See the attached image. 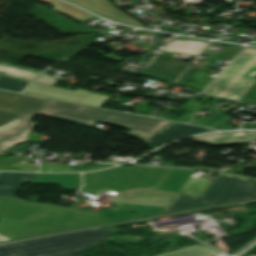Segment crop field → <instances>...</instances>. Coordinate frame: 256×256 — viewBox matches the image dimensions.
Segmentation results:
<instances>
[{
	"instance_id": "750c4746",
	"label": "crop field",
	"mask_w": 256,
	"mask_h": 256,
	"mask_svg": "<svg viewBox=\"0 0 256 256\" xmlns=\"http://www.w3.org/2000/svg\"><path fill=\"white\" fill-rule=\"evenodd\" d=\"M251 75H254V76H256V72H254L253 74H251Z\"/></svg>"
},
{
	"instance_id": "5a996713",
	"label": "crop field",
	"mask_w": 256,
	"mask_h": 256,
	"mask_svg": "<svg viewBox=\"0 0 256 256\" xmlns=\"http://www.w3.org/2000/svg\"><path fill=\"white\" fill-rule=\"evenodd\" d=\"M74 2L94 13L105 16L107 18L124 22L133 26H142L140 23L136 22L126 14L119 11L107 0H68Z\"/></svg>"
},
{
	"instance_id": "4a817a6b",
	"label": "crop field",
	"mask_w": 256,
	"mask_h": 256,
	"mask_svg": "<svg viewBox=\"0 0 256 256\" xmlns=\"http://www.w3.org/2000/svg\"><path fill=\"white\" fill-rule=\"evenodd\" d=\"M193 170L174 169L169 173L159 189L177 192L188 179Z\"/></svg>"
},
{
	"instance_id": "bc2a9ffb",
	"label": "crop field",
	"mask_w": 256,
	"mask_h": 256,
	"mask_svg": "<svg viewBox=\"0 0 256 256\" xmlns=\"http://www.w3.org/2000/svg\"><path fill=\"white\" fill-rule=\"evenodd\" d=\"M216 253L214 250L198 243L157 256H208Z\"/></svg>"
},
{
	"instance_id": "ac0d7876",
	"label": "crop field",
	"mask_w": 256,
	"mask_h": 256,
	"mask_svg": "<svg viewBox=\"0 0 256 256\" xmlns=\"http://www.w3.org/2000/svg\"><path fill=\"white\" fill-rule=\"evenodd\" d=\"M170 169L125 166L83 173L82 192L96 196L104 190L115 192L111 202L139 214L161 213L174 193L156 190Z\"/></svg>"
},
{
	"instance_id": "4177f3b9",
	"label": "crop field",
	"mask_w": 256,
	"mask_h": 256,
	"mask_svg": "<svg viewBox=\"0 0 256 256\" xmlns=\"http://www.w3.org/2000/svg\"><path fill=\"white\" fill-rule=\"evenodd\" d=\"M197 70L187 68L186 71L181 75V77L177 80L176 84L185 86L188 81L194 76Z\"/></svg>"
},
{
	"instance_id": "5142ce71",
	"label": "crop field",
	"mask_w": 256,
	"mask_h": 256,
	"mask_svg": "<svg viewBox=\"0 0 256 256\" xmlns=\"http://www.w3.org/2000/svg\"><path fill=\"white\" fill-rule=\"evenodd\" d=\"M32 183H58L63 188L78 189L80 187L79 174H38Z\"/></svg>"
},
{
	"instance_id": "f4fd0767",
	"label": "crop field",
	"mask_w": 256,
	"mask_h": 256,
	"mask_svg": "<svg viewBox=\"0 0 256 256\" xmlns=\"http://www.w3.org/2000/svg\"><path fill=\"white\" fill-rule=\"evenodd\" d=\"M254 71L256 49L245 48L202 94L239 101L256 81V77L249 75Z\"/></svg>"
},
{
	"instance_id": "dafd665d",
	"label": "crop field",
	"mask_w": 256,
	"mask_h": 256,
	"mask_svg": "<svg viewBox=\"0 0 256 256\" xmlns=\"http://www.w3.org/2000/svg\"><path fill=\"white\" fill-rule=\"evenodd\" d=\"M110 96L90 93L87 94L79 103L100 107Z\"/></svg>"
},
{
	"instance_id": "412701ff",
	"label": "crop field",
	"mask_w": 256,
	"mask_h": 256,
	"mask_svg": "<svg viewBox=\"0 0 256 256\" xmlns=\"http://www.w3.org/2000/svg\"><path fill=\"white\" fill-rule=\"evenodd\" d=\"M112 233L102 229H92L54 237L42 238L31 241L10 243L0 246V256H44L31 252L21 243L49 256H60L64 254L80 252L101 238Z\"/></svg>"
},
{
	"instance_id": "d8731c3e",
	"label": "crop field",
	"mask_w": 256,
	"mask_h": 256,
	"mask_svg": "<svg viewBox=\"0 0 256 256\" xmlns=\"http://www.w3.org/2000/svg\"><path fill=\"white\" fill-rule=\"evenodd\" d=\"M158 59L159 61H157ZM166 59H161V57L157 56L154 59L157 64L151 63L153 66L150 64L142 75L173 83L189 63L169 59L166 61ZM145 72L147 74H144Z\"/></svg>"
},
{
	"instance_id": "d9b57169",
	"label": "crop field",
	"mask_w": 256,
	"mask_h": 256,
	"mask_svg": "<svg viewBox=\"0 0 256 256\" xmlns=\"http://www.w3.org/2000/svg\"><path fill=\"white\" fill-rule=\"evenodd\" d=\"M209 205L212 204L199 197L176 194L161 214Z\"/></svg>"
},
{
	"instance_id": "dd49c442",
	"label": "crop field",
	"mask_w": 256,
	"mask_h": 256,
	"mask_svg": "<svg viewBox=\"0 0 256 256\" xmlns=\"http://www.w3.org/2000/svg\"><path fill=\"white\" fill-rule=\"evenodd\" d=\"M213 204L256 197V180L218 174L199 196Z\"/></svg>"
},
{
	"instance_id": "eef30255",
	"label": "crop field",
	"mask_w": 256,
	"mask_h": 256,
	"mask_svg": "<svg viewBox=\"0 0 256 256\" xmlns=\"http://www.w3.org/2000/svg\"><path fill=\"white\" fill-rule=\"evenodd\" d=\"M241 102H245V103H250V104H255L256 105V100H252V99H248V98H244L242 97Z\"/></svg>"
},
{
	"instance_id": "ae1a2a85",
	"label": "crop field",
	"mask_w": 256,
	"mask_h": 256,
	"mask_svg": "<svg viewBox=\"0 0 256 256\" xmlns=\"http://www.w3.org/2000/svg\"><path fill=\"white\" fill-rule=\"evenodd\" d=\"M8 239H10V238H7V237H5V236H3V235L0 234V241L8 240Z\"/></svg>"
},
{
	"instance_id": "8a807250",
	"label": "crop field",
	"mask_w": 256,
	"mask_h": 256,
	"mask_svg": "<svg viewBox=\"0 0 256 256\" xmlns=\"http://www.w3.org/2000/svg\"><path fill=\"white\" fill-rule=\"evenodd\" d=\"M0 216V232L13 238L141 217L119 208L99 213H86L50 204L24 202L15 197H0Z\"/></svg>"
},
{
	"instance_id": "e52e79f7",
	"label": "crop field",
	"mask_w": 256,
	"mask_h": 256,
	"mask_svg": "<svg viewBox=\"0 0 256 256\" xmlns=\"http://www.w3.org/2000/svg\"><path fill=\"white\" fill-rule=\"evenodd\" d=\"M46 100L0 90V126L16 118L30 121Z\"/></svg>"
},
{
	"instance_id": "3316defc",
	"label": "crop field",
	"mask_w": 256,
	"mask_h": 256,
	"mask_svg": "<svg viewBox=\"0 0 256 256\" xmlns=\"http://www.w3.org/2000/svg\"><path fill=\"white\" fill-rule=\"evenodd\" d=\"M211 130L214 129L170 122L161 130H159L156 134H154L152 137L146 140L145 143L158 145L162 142L169 141L175 138Z\"/></svg>"
},
{
	"instance_id": "d3111659",
	"label": "crop field",
	"mask_w": 256,
	"mask_h": 256,
	"mask_svg": "<svg viewBox=\"0 0 256 256\" xmlns=\"http://www.w3.org/2000/svg\"><path fill=\"white\" fill-rule=\"evenodd\" d=\"M23 245V244H22ZM25 246V245H24ZM27 247V246H26ZM29 248V247H28ZM30 249V248H29ZM30 250H32V249H30ZM32 251H34V250H32ZM34 252H36V251H34ZM43 254V253H42ZM45 256H48L47 254H44Z\"/></svg>"
},
{
	"instance_id": "cbeb9de0",
	"label": "crop field",
	"mask_w": 256,
	"mask_h": 256,
	"mask_svg": "<svg viewBox=\"0 0 256 256\" xmlns=\"http://www.w3.org/2000/svg\"><path fill=\"white\" fill-rule=\"evenodd\" d=\"M37 174L0 172V196H14L19 187Z\"/></svg>"
},
{
	"instance_id": "733c2abd",
	"label": "crop field",
	"mask_w": 256,
	"mask_h": 256,
	"mask_svg": "<svg viewBox=\"0 0 256 256\" xmlns=\"http://www.w3.org/2000/svg\"><path fill=\"white\" fill-rule=\"evenodd\" d=\"M40 70L31 69L27 67L14 66L7 63L0 62V74L30 81L40 73Z\"/></svg>"
},
{
	"instance_id": "d1516ede",
	"label": "crop field",
	"mask_w": 256,
	"mask_h": 256,
	"mask_svg": "<svg viewBox=\"0 0 256 256\" xmlns=\"http://www.w3.org/2000/svg\"><path fill=\"white\" fill-rule=\"evenodd\" d=\"M28 121L16 119L6 125L0 127V139L9 136L10 134L18 133ZM37 123L31 122L25 129H23L18 135H11L9 138L0 141V153L10 146L20 144L27 141V133L34 128Z\"/></svg>"
},
{
	"instance_id": "730fd06b",
	"label": "crop field",
	"mask_w": 256,
	"mask_h": 256,
	"mask_svg": "<svg viewBox=\"0 0 256 256\" xmlns=\"http://www.w3.org/2000/svg\"><path fill=\"white\" fill-rule=\"evenodd\" d=\"M246 97L256 98V82L251 86L248 92L245 94Z\"/></svg>"
},
{
	"instance_id": "28ad6ade",
	"label": "crop field",
	"mask_w": 256,
	"mask_h": 256,
	"mask_svg": "<svg viewBox=\"0 0 256 256\" xmlns=\"http://www.w3.org/2000/svg\"><path fill=\"white\" fill-rule=\"evenodd\" d=\"M25 92L78 103L89 90L77 88L75 91H72L60 87L34 83Z\"/></svg>"
},
{
	"instance_id": "a9b5d70f",
	"label": "crop field",
	"mask_w": 256,
	"mask_h": 256,
	"mask_svg": "<svg viewBox=\"0 0 256 256\" xmlns=\"http://www.w3.org/2000/svg\"><path fill=\"white\" fill-rule=\"evenodd\" d=\"M242 47H238V46H227L225 47L221 53L218 55L219 57H223V58H228V59H231L233 56H235L239 50L241 49Z\"/></svg>"
},
{
	"instance_id": "34b2d1b8",
	"label": "crop field",
	"mask_w": 256,
	"mask_h": 256,
	"mask_svg": "<svg viewBox=\"0 0 256 256\" xmlns=\"http://www.w3.org/2000/svg\"><path fill=\"white\" fill-rule=\"evenodd\" d=\"M37 114L58 118L86 127H92L96 122L125 127L129 130L126 135L142 141H145L169 123L168 121L51 99L47 100Z\"/></svg>"
},
{
	"instance_id": "92a150f3",
	"label": "crop field",
	"mask_w": 256,
	"mask_h": 256,
	"mask_svg": "<svg viewBox=\"0 0 256 256\" xmlns=\"http://www.w3.org/2000/svg\"><path fill=\"white\" fill-rule=\"evenodd\" d=\"M29 84H30L29 82H25V81L0 75V88H3V89L22 91Z\"/></svg>"
},
{
	"instance_id": "214f88e0",
	"label": "crop field",
	"mask_w": 256,
	"mask_h": 256,
	"mask_svg": "<svg viewBox=\"0 0 256 256\" xmlns=\"http://www.w3.org/2000/svg\"><path fill=\"white\" fill-rule=\"evenodd\" d=\"M54 7V10L60 13H63L65 15H68L72 18H75L79 21L88 19L92 17V15L70 5L65 2L59 1V0H51L48 2Z\"/></svg>"
},
{
	"instance_id": "00972430",
	"label": "crop field",
	"mask_w": 256,
	"mask_h": 256,
	"mask_svg": "<svg viewBox=\"0 0 256 256\" xmlns=\"http://www.w3.org/2000/svg\"><path fill=\"white\" fill-rule=\"evenodd\" d=\"M54 24L64 26L67 29L72 30V31L77 32V33H91V32H93V29L87 28L85 26H82V25H79V24H76V23L62 21V20H59V19L56 22H54Z\"/></svg>"
},
{
	"instance_id": "22f410ed",
	"label": "crop field",
	"mask_w": 256,
	"mask_h": 256,
	"mask_svg": "<svg viewBox=\"0 0 256 256\" xmlns=\"http://www.w3.org/2000/svg\"><path fill=\"white\" fill-rule=\"evenodd\" d=\"M256 132L251 131H232V132H222L214 133L208 135H200L193 137L194 141L209 143L213 145L221 144H233V143H244L250 142L255 136Z\"/></svg>"
}]
</instances>
